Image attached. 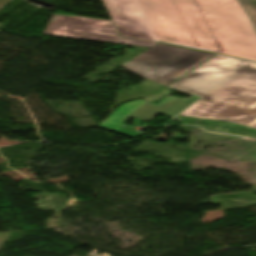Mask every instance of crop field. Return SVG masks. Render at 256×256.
I'll use <instances>...</instances> for the list:
<instances>
[{"instance_id":"crop-field-3","label":"crop field","mask_w":256,"mask_h":256,"mask_svg":"<svg viewBox=\"0 0 256 256\" xmlns=\"http://www.w3.org/2000/svg\"><path fill=\"white\" fill-rule=\"evenodd\" d=\"M212 55L157 43L122 67L143 79L169 85Z\"/></svg>"},{"instance_id":"crop-field-5","label":"crop field","mask_w":256,"mask_h":256,"mask_svg":"<svg viewBox=\"0 0 256 256\" xmlns=\"http://www.w3.org/2000/svg\"><path fill=\"white\" fill-rule=\"evenodd\" d=\"M197 99L198 97L194 96L187 100L168 96L157 106L141 100L134 101L122 105L100 124L99 127L136 138L143 134L121 128L130 117L148 122H150L157 114L173 117Z\"/></svg>"},{"instance_id":"crop-field-4","label":"crop field","mask_w":256,"mask_h":256,"mask_svg":"<svg viewBox=\"0 0 256 256\" xmlns=\"http://www.w3.org/2000/svg\"><path fill=\"white\" fill-rule=\"evenodd\" d=\"M43 34L151 47L157 42L120 38L112 21L54 14Z\"/></svg>"},{"instance_id":"crop-field-2","label":"crop field","mask_w":256,"mask_h":256,"mask_svg":"<svg viewBox=\"0 0 256 256\" xmlns=\"http://www.w3.org/2000/svg\"><path fill=\"white\" fill-rule=\"evenodd\" d=\"M172 87L202 96L181 116L230 121L256 129V63L217 55Z\"/></svg>"},{"instance_id":"crop-field-6","label":"crop field","mask_w":256,"mask_h":256,"mask_svg":"<svg viewBox=\"0 0 256 256\" xmlns=\"http://www.w3.org/2000/svg\"><path fill=\"white\" fill-rule=\"evenodd\" d=\"M256 28V0H241Z\"/></svg>"},{"instance_id":"crop-field-1","label":"crop field","mask_w":256,"mask_h":256,"mask_svg":"<svg viewBox=\"0 0 256 256\" xmlns=\"http://www.w3.org/2000/svg\"><path fill=\"white\" fill-rule=\"evenodd\" d=\"M122 37L256 61V30L240 0H103Z\"/></svg>"}]
</instances>
